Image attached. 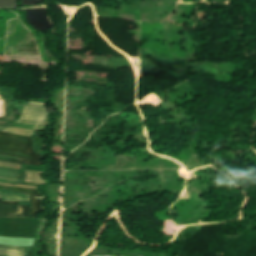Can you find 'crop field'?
Instances as JSON below:
<instances>
[{"mask_svg": "<svg viewBox=\"0 0 256 256\" xmlns=\"http://www.w3.org/2000/svg\"><path fill=\"white\" fill-rule=\"evenodd\" d=\"M0 203H4V204H18V202H2V201H0Z\"/></svg>", "mask_w": 256, "mask_h": 256, "instance_id": "obj_11", "label": "crop field"}, {"mask_svg": "<svg viewBox=\"0 0 256 256\" xmlns=\"http://www.w3.org/2000/svg\"><path fill=\"white\" fill-rule=\"evenodd\" d=\"M0 256H9V255H3V254H0Z\"/></svg>", "mask_w": 256, "mask_h": 256, "instance_id": "obj_13", "label": "crop field"}, {"mask_svg": "<svg viewBox=\"0 0 256 256\" xmlns=\"http://www.w3.org/2000/svg\"><path fill=\"white\" fill-rule=\"evenodd\" d=\"M4 132H10V133H15V134H21V135H25V136H31L33 131L30 130H23V129H13V128H6L4 130H1Z\"/></svg>", "mask_w": 256, "mask_h": 256, "instance_id": "obj_7", "label": "crop field"}, {"mask_svg": "<svg viewBox=\"0 0 256 256\" xmlns=\"http://www.w3.org/2000/svg\"><path fill=\"white\" fill-rule=\"evenodd\" d=\"M0 161L2 162H10V163H20L23 164V162L17 160V159H13V158H7V157H0Z\"/></svg>", "mask_w": 256, "mask_h": 256, "instance_id": "obj_8", "label": "crop field"}, {"mask_svg": "<svg viewBox=\"0 0 256 256\" xmlns=\"http://www.w3.org/2000/svg\"><path fill=\"white\" fill-rule=\"evenodd\" d=\"M0 182L16 183V182H13V181H5V180H0Z\"/></svg>", "mask_w": 256, "mask_h": 256, "instance_id": "obj_12", "label": "crop field"}, {"mask_svg": "<svg viewBox=\"0 0 256 256\" xmlns=\"http://www.w3.org/2000/svg\"><path fill=\"white\" fill-rule=\"evenodd\" d=\"M0 188L16 190V191L30 194L32 218H36L37 213L43 212L45 210L44 207H42V203H41L43 201V196L38 194L36 190L11 188V187H3V186H0Z\"/></svg>", "mask_w": 256, "mask_h": 256, "instance_id": "obj_4", "label": "crop field"}, {"mask_svg": "<svg viewBox=\"0 0 256 256\" xmlns=\"http://www.w3.org/2000/svg\"><path fill=\"white\" fill-rule=\"evenodd\" d=\"M46 116V110L40 106H24L20 123L41 125Z\"/></svg>", "mask_w": 256, "mask_h": 256, "instance_id": "obj_2", "label": "crop field"}, {"mask_svg": "<svg viewBox=\"0 0 256 256\" xmlns=\"http://www.w3.org/2000/svg\"><path fill=\"white\" fill-rule=\"evenodd\" d=\"M0 155L20 158L29 165L43 164L39 162L42 156L33 153L31 138L21 135L0 132Z\"/></svg>", "mask_w": 256, "mask_h": 256, "instance_id": "obj_1", "label": "crop field"}, {"mask_svg": "<svg viewBox=\"0 0 256 256\" xmlns=\"http://www.w3.org/2000/svg\"><path fill=\"white\" fill-rule=\"evenodd\" d=\"M0 176L18 179V171L0 168Z\"/></svg>", "mask_w": 256, "mask_h": 256, "instance_id": "obj_6", "label": "crop field"}, {"mask_svg": "<svg viewBox=\"0 0 256 256\" xmlns=\"http://www.w3.org/2000/svg\"><path fill=\"white\" fill-rule=\"evenodd\" d=\"M0 194H2L1 200L9 201H29L28 195L0 189Z\"/></svg>", "mask_w": 256, "mask_h": 256, "instance_id": "obj_5", "label": "crop field"}, {"mask_svg": "<svg viewBox=\"0 0 256 256\" xmlns=\"http://www.w3.org/2000/svg\"><path fill=\"white\" fill-rule=\"evenodd\" d=\"M0 248L24 252V248L21 247L0 245Z\"/></svg>", "mask_w": 256, "mask_h": 256, "instance_id": "obj_9", "label": "crop field"}, {"mask_svg": "<svg viewBox=\"0 0 256 256\" xmlns=\"http://www.w3.org/2000/svg\"><path fill=\"white\" fill-rule=\"evenodd\" d=\"M1 129H4V127H0V130H1Z\"/></svg>", "mask_w": 256, "mask_h": 256, "instance_id": "obj_14", "label": "crop field"}, {"mask_svg": "<svg viewBox=\"0 0 256 256\" xmlns=\"http://www.w3.org/2000/svg\"><path fill=\"white\" fill-rule=\"evenodd\" d=\"M0 216L30 218L29 205H1Z\"/></svg>", "mask_w": 256, "mask_h": 256, "instance_id": "obj_3", "label": "crop field"}, {"mask_svg": "<svg viewBox=\"0 0 256 256\" xmlns=\"http://www.w3.org/2000/svg\"><path fill=\"white\" fill-rule=\"evenodd\" d=\"M0 253L10 254V255H15V256H23L24 255V253L8 251V250H3V249H0Z\"/></svg>", "mask_w": 256, "mask_h": 256, "instance_id": "obj_10", "label": "crop field"}]
</instances>
